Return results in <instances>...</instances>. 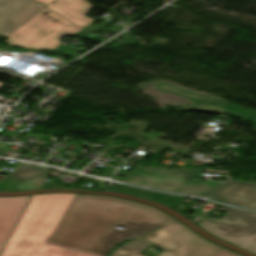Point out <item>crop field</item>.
<instances>
[{
	"instance_id": "5",
	"label": "crop field",
	"mask_w": 256,
	"mask_h": 256,
	"mask_svg": "<svg viewBox=\"0 0 256 256\" xmlns=\"http://www.w3.org/2000/svg\"><path fill=\"white\" fill-rule=\"evenodd\" d=\"M219 210L230 213L221 221L205 217L197 225L218 238L256 254V215L224 206Z\"/></svg>"
},
{
	"instance_id": "11",
	"label": "crop field",
	"mask_w": 256,
	"mask_h": 256,
	"mask_svg": "<svg viewBox=\"0 0 256 256\" xmlns=\"http://www.w3.org/2000/svg\"><path fill=\"white\" fill-rule=\"evenodd\" d=\"M157 88L168 92L176 93L181 96L193 99L192 102L198 104L197 107H184L182 109L196 110L213 114L223 115L226 111L218 106H225V101L217 100L211 97L199 95L190 91L182 90L178 87L159 82Z\"/></svg>"
},
{
	"instance_id": "10",
	"label": "crop field",
	"mask_w": 256,
	"mask_h": 256,
	"mask_svg": "<svg viewBox=\"0 0 256 256\" xmlns=\"http://www.w3.org/2000/svg\"><path fill=\"white\" fill-rule=\"evenodd\" d=\"M46 7L79 26L85 27L94 20L85 17L93 7L86 0H54Z\"/></svg>"
},
{
	"instance_id": "15",
	"label": "crop field",
	"mask_w": 256,
	"mask_h": 256,
	"mask_svg": "<svg viewBox=\"0 0 256 256\" xmlns=\"http://www.w3.org/2000/svg\"><path fill=\"white\" fill-rule=\"evenodd\" d=\"M150 244L137 239L120 248H118L111 256H144L140 254Z\"/></svg>"
},
{
	"instance_id": "4",
	"label": "crop field",
	"mask_w": 256,
	"mask_h": 256,
	"mask_svg": "<svg viewBox=\"0 0 256 256\" xmlns=\"http://www.w3.org/2000/svg\"><path fill=\"white\" fill-rule=\"evenodd\" d=\"M141 239L167 249L158 256H211L222 248L176 220Z\"/></svg>"
},
{
	"instance_id": "12",
	"label": "crop field",
	"mask_w": 256,
	"mask_h": 256,
	"mask_svg": "<svg viewBox=\"0 0 256 256\" xmlns=\"http://www.w3.org/2000/svg\"><path fill=\"white\" fill-rule=\"evenodd\" d=\"M47 169L19 163L9 175L21 182L17 189H31Z\"/></svg>"
},
{
	"instance_id": "3",
	"label": "crop field",
	"mask_w": 256,
	"mask_h": 256,
	"mask_svg": "<svg viewBox=\"0 0 256 256\" xmlns=\"http://www.w3.org/2000/svg\"><path fill=\"white\" fill-rule=\"evenodd\" d=\"M82 28L45 7L8 35L6 43L22 48L53 51L61 43L58 40L60 36H74Z\"/></svg>"
},
{
	"instance_id": "2",
	"label": "crop field",
	"mask_w": 256,
	"mask_h": 256,
	"mask_svg": "<svg viewBox=\"0 0 256 256\" xmlns=\"http://www.w3.org/2000/svg\"><path fill=\"white\" fill-rule=\"evenodd\" d=\"M74 196H32L1 256H99L46 243Z\"/></svg>"
},
{
	"instance_id": "8",
	"label": "crop field",
	"mask_w": 256,
	"mask_h": 256,
	"mask_svg": "<svg viewBox=\"0 0 256 256\" xmlns=\"http://www.w3.org/2000/svg\"><path fill=\"white\" fill-rule=\"evenodd\" d=\"M210 199L256 210V184L228 182Z\"/></svg>"
},
{
	"instance_id": "9",
	"label": "crop field",
	"mask_w": 256,
	"mask_h": 256,
	"mask_svg": "<svg viewBox=\"0 0 256 256\" xmlns=\"http://www.w3.org/2000/svg\"><path fill=\"white\" fill-rule=\"evenodd\" d=\"M30 196L0 197V252Z\"/></svg>"
},
{
	"instance_id": "17",
	"label": "crop field",
	"mask_w": 256,
	"mask_h": 256,
	"mask_svg": "<svg viewBox=\"0 0 256 256\" xmlns=\"http://www.w3.org/2000/svg\"><path fill=\"white\" fill-rule=\"evenodd\" d=\"M36 1H39L41 3H44L46 5H48L50 2H52L53 0H36Z\"/></svg>"
},
{
	"instance_id": "7",
	"label": "crop field",
	"mask_w": 256,
	"mask_h": 256,
	"mask_svg": "<svg viewBox=\"0 0 256 256\" xmlns=\"http://www.w3.org/2000/svg\"><path fill=\"white\" fill-rule=\"evenodd\" d=\"M44 7L31 0H0V34L7 36Z\"/></svg>"
},
{
	"instance_id": "16",
	"label": "crop field",
	"mask_w": 256,
	"mask_h": 256,
	"mask_svg": "<svg viewBox=\"0 0 256 256\" xmlns=\"http://www.w3.org/2000/svg\"><path fill=\"white\" fill-rule=\"evenodd\" d=\"M213 256H241V255L223 248L217 253H215Z\"/></svg>"
},
{
	"instance_id": "14",
	"label": "crop field",
	"mask_w": 256,
	"mask_h": 256,
	"mask_svg": "<svg viewBox=\"0 0 256 256\" xmlns=\"http://www.w3.org/2000/svg\"><path fill=\"white\" fill-rule=\"evenodd\" d=\"M111 190L123 191L126 193L135 194L142 197L158 200L172 207L176 205L181 199H183L181 197H174L166 194L143 191V190H139V189H135V188L119 185V184H116ZM165 197H168V198L166 199Z\"/></svg>"
},
{
	"instance_id": "13",
	"label": "crop field",
	"mask_w": 256,
	"mask_h": 256,
	"mask_svg": "<svg viewBox=\"0 0 256 256\" xmlns=\"http://www.w3.org/2000/svg\"><path fill=\"white\" fill-rule=\"evenodd\" d=\"M165 169L136 166L127 173L121 180L148 186Z\"/></svg>"
},
{
	"instance_id": "6",
	"label": "crop field",
	"mask_w": 256,
	"mask_h": 256,
	"mask_svg": "<svg viewBox=\"0 0 256 256\" xmlns=\"http://www.w3.org/2000/svg\"><path fill=\"white\" fill-rule=\"evenodd\" d=\"M202 170L203 169H166L149 186L206 197L221 183L194 181Z\"/></svg>"
},
{
	"instance_id": "1",
	"label": "crop field",
	"mask_w": 256,
	"mask_h": 256,
	"mask_svg": "<svg viewBox=\"0 0 256 256\" xmlns=\"http://www.w3.org/2000/svg\"><path fill=\"white\" fill-rule=\"evenodd\" d=\"M172 220L164 212L139 203L78 194L49 242L103 255L117 243L143 236ZM116 225L125 229L113 228Z\"/></svg>"
}]
</instances>
